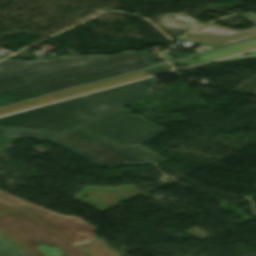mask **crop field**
Here are the masks:
<instances>
[{
    "label": "crop field",
    "instance_id": "crop-field-1",
    "mask_svg": "<svg viewBox=\"0 0 256 256\" xmlns=\"http://www.w3.org/2000/svg\"><path fill=\"white\" fill-rule=\"evenodd\" d=\"M158 81L147 79L42 108L0 118V126L63 133L64 135L0 128V136L49 140L98 166L147 165L165 161L140 145L165 131L150 121L129 115L122 106L153 93Z\"/></svg>",
    "mask_w": 256,
    "mask_h": 256
},
{
    "label": "crop field",
    "instance_id": "crop-field-2",
    "mask_svg": "<svg viewBox=\"0 0 256 256\" xmlns=\"http://www.w3.org/2000/svg\"><path fill=\"white\" fill-rule=\"evenodd\" d=\"M150 55L58 56L0 62V105L150 65Z\"/></svg>",
    "mask_w": 256,
    "mask_h": 256
},
{
    "label": "crop field",
    "instance_id": "crop-field-3",
    "mask_svg": "<svg viewBox=\"0 0 256 256\" xmlns=\"http://www.w3.org/2000/svg\"><path fill=\"white\" fill-rule=\"evenodd\" d=\"M96 229L78 218L0 197V235L29 256H86L75 245L92 239Z\"/></svg>",
    "mask_w": 256,
    "mask_h": 256
},
{
    "label": "crop field",
    "instance_id": "crop-field-4",
    "mask_svg": "<svg viewBox=\"0 0 256 256\" xmlns=\"http://www.w3.org/2000/svg\"><path fill=\"white\" fill-rule=\"evenodd\" d=\"M239 16L256 25V14L241 13ZM256 37V28L241 31L224 27L208 25L192 30L183 39L205 42L217 45H225L249 38Z\"/></svg>",
    "mask_w": 256,
    "mask_h": 256
},
{
    "label": "crop field",
    "instance_id": "crop-field-5",
    "mask_svg": "<svg viewBox=\"0 0 256 256\" xmlns=\"http://www.w3.org/2000/svg\"><path fill=\"white\" fill-rule=\"evenodd\" d=\"M145 76H149V74H147L145 71H143V72L135 73V74L128 75V76H125V77H122V78H118V79H114V80H110V81L90 85V86H87V87H83V88H80V89H76V90L66 92V93H63V94H59V95H56V96L44 97V98H40L38 100H34V101H30V102H26V103L14 105V106L2 108V109H0V115L15 112V111L22 110V109H25V108H29V107H32V106H36V105H39V104L47 103V102H50V101H53V100H57V99H61V98H65V97H69V96H73V95H77V94H81V93H85V92H89V91L109 87V86H112V85H116V84H120V83H123V82L131 81V80L138 79V78L145 77Z\"/></svg>",
    "mask_w": 256,
    "mask_h": 256
},
{
    "label": "crop field",
    "instance_id": "crop-field-6",
    "mask_svg": "<svg viewBox=\"0 0 256 256\" xmlns=\"http://www.w3.org/2000/svg\"><path fill=\"white\" fill-rule=\"evenodd\" d=\"M179 14L185 16L184 18L179 16ZM168 15L175 16L173 18L168 17ZM159 25L163 26L168 30H178V29H191L198 25L203 24L202 22L182 13H171L166 15L158 16Z\"/></svg>",
    "mask_w": 256,
    "mask_h": 256
},
{
    "label": "crop field",
    "instance_id": "crop-field-7",
    "mask_svg": "<svg viewBox=\"0 0 256 256\" xmlns=\"http://www.w3.org/2000/svg\"><path fill=\"white\" fill-rule=\"evenodd\" d=\"M254 47H256V41L249 42V43L242 44V45H238V46L231 47V48H228V49H224L222 51L211 53V54H208V55L200 56L198 58V60L209 61V60L217 58V57H221V56H225V55H228V54L240 52V51L251 49V48H254Z\"/></svg>",
    "mask_w": 256,
    "mask_h": 256
},
{
    "label": "crop field",
    "instance_id": "crop-field-8",
    "mask_svg": "<svg viewBox=\"0 0 256 256\" xmlns=\"http://www.w3.org/2000/svg\"><path fill=\"white\" fill-rule=\"evenodd\" d=\"M0 256H28L24 251L17 248L0 236Z\"/></svg>",
    "mask_w": 256,
    "mask_h": 256
},
{
    "label": "crop field",
    "instance_id": "crop-field-9",
    "mask_svg": "<svg viewBox=\"0 0 256 256\" xmlns=\"http://www.w3.org/2000/svg\"><path fill=\"white\" fill-rule=\"evenodd\" d=\"M84 249H86L88 252H90L94 256H119L113 253H110L104 249H102V244L94 241L93 239L87 243H84L80 245Z\"/></svg>",
    "mask_w": 256,
    "mask_h": 256
},
{
    "label": "crop field",
    "instance_id": "crop-field-10",
    "mask_svg": "<svg viewBox=\"0 0 256 256\" xmlns=\"http://www.w3.org/2000/svg\"><path fill=\"white\" fill-rule=\"evenodd\" d=\"M201 62H204V61H197V60H194V59H188V60L176 62V63H174V64L190 66V65H194V64L201 63Z\"/></svg>",
    "mask_w": 256,
    "mask_h": 256
},
{
    "label": "crop field",
    "instance_id": "crop-field-11",
    "mask_svg": "<svg viewBox=\"0 0 256 256\" xmlns=\"http://www.w3.org/2000/svg\"><path fill=\"white\" fill-rule=\"evenodd\" d=\"M251 58H256V52H253L252 55L249 57H244V56L240 55V56H236V57L229 58V59L222 60V61H235V60H243V59H251Z\"/></svg>",
    "mask_w": 256,
    "mask_h": 256
},
{
    "label": "crop field",
    "instance_id": "crop-field-12",
    "mask_svg": "<svg viewBox=\"0 0 256 256\" xmlns=\"http://www.w3.org/2000/svg\"><path fill=\"white\" fill-rule=\"evenodd\" d=\"M0 195L3 196V197H5V198H8V199L14 200V201H16V202L22 203V204L27 203L26 201L17 199V198H15V197H13V196H11V195L5 193V192H2V191H0Z\"/></svg>",
    "mask_w": 256,
    "mask_h": 256
}]
</instances>
